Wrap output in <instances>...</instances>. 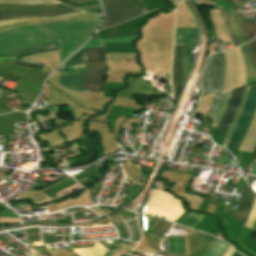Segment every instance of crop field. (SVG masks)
<instances>
[{
    "label": "crop field",
    "instance_id": "41",
    "mask_svg": "<svg viewBox=\"0 0 256 256\" xmlns=\"http://www.w3.org/2000/svg\"><path fill=\"white\" fill-rule=\"evenodd\" d=\"M32 256H42L39 253H32Z\"/></svg>",
    "mask_w": 256,
    "mask_h": 256
},
{
    "label": "crop field",
    "instance_id": "34",
    "mask_svg": "<svg viewBox=\"0 0 256 256\" xmlns=\"http://www.w3.org/2000/svg\"><path fill=\"white\" fill-rule=\"evenodd\" d=\"M17 63L18 64H26V65H30V66H33V67H37V68H44L45 65L37 62V61H33V60H27V59H18L17 60Z\"/></svg>",
    "mask_w": 256,
    "mask_h": 256
},
{
    "label": "crop field",
    "instance_id": "44",
    "mask_svg": "<svg viewBox=\"0 0 256 256\" xmlns=\"http://www.w3.org/2000/svg\"><path fill=\"white\" fill-rule=\"evenodd\" d=\"M1 89V88H0Z\"/></svg>",
    "mask_w": 256,
    "mask_h": 256
},
{
    "label": "crop field",
    "instance_id": "1",
    "mask_svg": "<svg viewBox=\"0 0 256 256\" xmlns=\"http://www.w3.org/2000/svg\"><path fill=\"white\" fill-rule=\"evenodd\" d=\"M99 15L82 14L45 21L0 26V53L58 41L60 63L94 31Z\"/></svg>",
    "mask_w": 256,
    "mask_h": 256
},
{
    "label": "crop field",
    "instance_id": "36",
    "mask_svg": "<svg viewBox=\"0 0 256 256\" xmlns=\"http://www.w3.org/2000/svg\"><path fill=\"white\" fill-rule=\"evenodd\" d=\"M255 160H256V147H255V150H254V152H253V154H252L251 160H250V162L248 163V165H247V167H246V169H245V171H244L245 173L247 172V169H248L250 163H251V162L254 163Z\"/></svg>",
    "mask_w": 256,
    "mask_h": 256
},
{
    "label": "crop field",
    "instance_id": "6",
    "mask_svg": "<svg viewBox=\"0 0 256 256\" xmlns=\"http://www.w3.org/2000/svg\"><path fill=\"white\" fill-rule=\"evenodd\" d=\"M235 50H236L238 62H239V75H238V63H237ZM235 50L233 49L231 51L224 52L225 53V78H224L222 93L231 91L233 88L236 87L237 75H238L237 87L246 85L245 84L246 72H245V67L243 64L240 48L239 47L235 48Z\"/></svg>",
    "mask_w": 256,
    "mask_h": 256
},
{
    "label": "crop field",
    "instance_id": "24",
    "mask_svg": "<svg viewBox=\"0 0 256 256\" xmlns=\"http://www.w3.org/2000/svg\"><path fill=\"white\" fill-rule=\"evenodd\" d=\"M81 13H85V12L80 11V12L73 13V14L60 15V16H52V17L28 18V19H19V20H3V21H0V25L11 24V23H16V22H22V21H29V20H42V19L61 18V17L70 16V15H76V14H81Z\"/></svg>",
    "mask_w": 256,
    "mask_h": 256
},
{
    "label": "crop field",
    "instance_id": "37",
    "mask_svg": "<svg viewBox=\"0 0 256 256\" xmlns=\"http://www.w3.org/2000/svg\"><path fill=\"white\" fill-rule=\"evenodd\" d=\"M61 3H74V2H81V1H87V0H58Z\"/></svg>",
    "mask_w": 256,
    "mask_h": 256
},
{
    "label": "crop field",
    "instance_id": "27",
    "mask_svg": "<svg viewBox=\"0 0 256 256\" xmlns=\"http://www.w3.org/2000/svg\"><path fill=\"white\" fill-rule=\"evenodd\" d=\"M4 64H17L12 52L0 54V65Z\"/></svg>",
    "mask_w": 256,
    "mask_h": 256
},
{
    "label": "crop field",
    "instance_id": "31",
    "mask_svg": "<svg viewBox=\"0 0 256 256\" xmlns=\"http://www.w3.org/2000/svg\"><path fill=\"white\" fill-rule=\"evenodd\" d=\"M230 93H231V92H230ZM230 93H228V94H226V95L224 96V100H223V102H222L221 108H220V110H219V112H218V114H217V116H216V118H215V120H214L212 126H215V127H216V125H217V123H218V121H219V119H220V117H221V115H222V113H223V111H224V108H225V106H226V104H227V102H228V100H229Z\"/></svg>",
    "mask_w": 256,
    "mask_h": 256
},
{
    "label": "crop field",
    "instance_id": "19",
    "mask_svg": "<svg viewBox=\"0 0 256 256\" xmlns=\"http://www.w3.org/2000/svg\"><path fill=\"white\" fill-rule=\"evenodd\" d=\"M190 70H191V45H184L183 79H182L181 87L183 86Z\"/></svg>",
    "mask_w": 256,
    "mask_h": 256
},
{
    "label": "crop field",
    "instance_id": "43",
    "mask_svg": "<svg viewBox=\"0 0 256 256\" xmlns=\"http://www.w3.org/2000/svg\"><path fill=\"white\" fill-rule=\"evenodd\" d=\"M120 256H126V255L121 254Z\"/></svg>",
    "mask_w": 256,
    "mask_h": 256
},
{
    "label": "crop field",
    "instance_id": "11",
    "mask_svg": "<svg viewBox=\"0 0 256 256\" xmlns=\"http://www.w3.org/2000/svg\"><path fill=\"white\" fill-rule=\"evenodd\" d=\"M182 58H183V45H174L173 68H172V83H173V90H174V99L176 98L181 85Z\"/></svg>",
    "mask_w": 256,
    "mask_h": 256
},
{
    "label": "crop field",
    "instance_id": "32",
    "mask_svg": "<svg viewBox=\"0 0 256 256\" xmlns=\"http://www.w3.org/2000/svg\"><path fill=\"white\" fill-rule=\"evenodd\" d=\"M255 219H256V197H255L254 204H253L251 213L249 215V218H248L247 222L245 223V226L251 228Z\"/></svg>",
    "mask_w": 256,
    "mask_h": 256
},
{
    "label": "crop field",
    "instance_id": "12",
    "mask_svg": "<svg viewBox=\"0 0 256 256\" xmlns=\"http://www.w3.org/2000/svg\"><path fill=\"white\" fill-rule=\"evenodd\" d=\"M55 8H68L63 4H48V5H6L0 4V13H16L22 11L47 10Z\"/></svg>",
    "mask_w": 256,
    "mask_h": 256
},
{
    "label": "crop field",
    "instance_id": "17",
    "mask_svg": "<svg viewBox=\"0 0 256 256\" xmlns=\"http://www.w3.org/2000/svg\"><path fill=\"white\" fill-rule=\"evenodd\" d=\"M136 37L137 36L90 40L83 48L103 47L101 43L132 42Z\"/></svg>",
    "mask_w": 256,
    "mask_h": 256
},
{
    "label": "crop field",
    "instance_id": "16",
    "mask_svg": "<svg viewBox=\"0 0 256 256\" xmlns=\"http://www.w3.org/2000/svg\"><path fill=\"white\" fill-rule=\"evenodd\" d=\"M256 141V111L248 127L245 138L239 147L240 150L252 152Z\"/></svg>",
    "mask_w": 256,
    "mask_h": 256
},
{
    "label": "crop field",
    "instance_id": "30",
    "mask_svg": "<svg viewBox=\"0 0 256 256\" xmlns=\"http://www.w3.org/2000/svg\"><path fill=\"white\" fill-rule=\"evenodd\" d=\"M229 16H230L232 27H233V29H234V31L236 33L237 38H238L239 44L240 45L244 44L245 43L244 39H243V37H242V35L240 33V30H239V28L237 26L236 21H235V14L229 13Z\"/></svg>",
    "mask_w": 256,
    "mask_h": 256
},
{
    "label": "crop field",
    "instance_id": "9",
    "mask_svg": "<svg viewBox=\"0 0 256 256\" xmlns=\"http://www.w3.org/2000/svg\"><path fill=\"white\" fill-rule=\"evenodd\" d=\"M254 193L251 191L250 187L247 183H245L243 190L240 194V198L235 210V213L232 218L238 220L240 223L244 225L254 200Z\"/></svg>",
    "mask_w": 256,
    "mask_h": 256
},
{
    "label": "crop field",
    "instance_id": "7",
    "mask_svg": "<svg viewBox=\"0 0 256 256\" xmlns=\"http://www.w3.org/2000/svg\"><path fill=\"white\" fill-rule=\"evenodd\" d=\"M248 88L249 87H247L246 90H245V93H244L243 99L241 101V104L239 106V109L237 111V114H236V116L234 118V121H233V123H232V125H231V127H230V129H229V131L227 133V135H226L225 142H224V145H223V147H225V148H226V145H227L228 134H229V132H230V130H231V128H232V126H233V124H234V122H235V120H236V118H237V116H238V114H239V112H240V110H241L245 100H246ZM255 89H256V85L253 86V87H250L247 100H246V102H245V104H244V106H243V108H242V110H241V112H240V114H239V116H238V118H237V120H236V122H235V124H234V126H233V128L231 130V132H230V134H229V140H228V145H227L226 149H228L230 152H232V149H233V146H234V142H235V140H236V138H237V136H238V134H239V132H240L244 122H245L247 113H248V111L250 109V106H251V104L253 102V98H254V94H255Z\"/></svg>",
    "mask_w": 256,
    "mask_h": 256
},
{
    "label": "crop field",
    "instance_id": "39",
    "mask_svg": "<svg viewBox=\"0 0 256 256\" xmlns=\"http://www.w3.org/2000/svg\"><path fill=\"white\" fill-rule=\"evenodd\" d=\"M253 180H254V177H249L247 181L249 182L250 185H252Z\"/></svg>",
    "mask_w": 256,
    "mask_h": 256
},
{
    "label": "crop field",
    "instance_id": "2",
    "mask_svg": "<svg viewBox=\"0 0 256 256\" xmlns=\"http://www.w3.org/2000/svg\"><path fill=\"white\" fill-rule=\"evenodd\" d=\"M87 77H86V52L80 50L70 58L61 71L60 83L83 91L85 77L86 92L103 91L104 77L106 72V58L104 48L87 49Z\"/></svg>",
    "mask_w": 256,
    "mask_h": 256
},
{
    "label": "crop field",
    "instance_id": "13",
    "mask_svg": "<svg viewBox=\"0 0 256 256\" xmlns=\"http://www.w3.org/2000/svg\"><path fill=\"white\" fill-rule=\"evenodd\" d=\"M77 11H79V10L69 8V9H61V10L30 12V13L3 14V15H0V20H2V19H14V18H27V17L60 15V14L73 13V12H77Z\"/></svg>",
    "mask_w": 256,
    "mask_h": 256
},
{
    "label": "crop field",
    "instance_id": "35",
    "mask_svg": "<svg viewBox=\"0 0 256 256\" xmlns=\"http://www.w3.org/2000/svg\"><path fill=\"white\" fill-rule=\"evenodd\" d=\"M18 77H21V76L2 73L1 80H4V79H17Z\"/></svg>",
    "mask_w": 256,
    "mask_h": 256
},
{
    "label": "crop field",
    "instance_id": "26",
    "mask_svg": "<svg viewBox=\"0 0 256 256\" xmlns=\"http://www.w3.org/2000/svg\"><path fill=\"white\" fill-rule=\"evenodd\" d=\"M223 17H224V21H225V24H226L227 31H228V33H229V35H230V37L233 41L234 46L236 47L239 44H238L237 38L235 36V33H234V31L231 27L230 20H229V17H228V13L223 11Z\"/></svg>",
    "mask_w": 256,
    "mask_h": 256
},
{
    "label": "crop field",
    "instance_id": "25",
    "mask_svg": "<svg viewBox=\"0 0 256 256\" xmlns=\"http://www.w3.org/2000/svg\"><path fill=\"white\" fill-rule=\"evenodd\" d=\"M256 75V39L246 44Z\"/></svg>",
    "mask_w": 256,
    "mask_h": 256
},
{
    "label": "crop field",
    "instance_id": "38",
    "mask_svg": "<svg viewBox=\"0 0 256 256\" xmlns=\"http://www.w3.org/2000/svg\"><path fill=\"white\" fill-rule=\"evenodd\" d=\"M234 251L235 250L230 246V248L227 250L224 256H231L234 253Z\"/></svg>",
    "mask_w": 256,
    "mask_h": 256
},
{
    "label": "crop field",
    "instance_id": "10",
    "mask_svg": "<svg viewBox=\"0 0 256 256\" xmlns=\"http://www.w3.org/2000/svg\"><path fill=\"white\" fill-rule=\"evenodd\" d=\"M214 240L215 238L207 235L190 256H202ZM228 247L229 245L216 239L203 256H223Z\"/></svg>",
    "mask_w": 256,
    "mask_h": 256
},
{
    "label": "crop field",
    "instance_id": "18",
    "mask_svg": "<svg viewBox=\"0 0 256 256\" xmlns=\"http://www.w3.org/2000/svg\"><path fill=\"white\" fill-rule=\"evenodd\" d=\"M247 72V85L256 83L253 67L251 65L245 44L240 46Z\"/></svg>",
    "mask_w": 256,
    "mask_h": 256
},
{
    "label": "crop field",
    "instance_id": "4",
    "mask_svg": "<svg viewBox=\"0 0 256 256\" xmlns=\"http://www.w3.org/2000/svg\"><path fill=\"white\" fill-rule=\"evenodd\" d=\"M184 211L180 201L167 192L156 190L145 213L175 221Z\"/></svg>",
    "mask_w": 256,
    "mask_h": 256
},
{
    "label": "crop field",
    "instance_id": "23",
    "mask_svg": "<svg viewBox=\"0 0 256 256\" xmlns=\"http://www.w3.org/2000/svg\"><path fill=\"white\" fill-rule=\"evenodd\" d=\"M0 3L6 4H47L59 3L55 0H0Z\"/></svg>",
    "mask_w": 256,
    "mask_h": 256
},
{
    "label": "crop field",
    "instance_id": "3",
    "mask_svg": "<svg viewBox=\"0 0 256 256\" xmlns=\"http://www.w3.org/2000/svg\"><path fill=\"white\" fill-rule=\"evenodd\" d=\"M101 1L105 9L101 28L123 23L147 12L143 0Z\"/></svg>",
    "mask_w": 256,
    "mask_h": 256
},
{
    "label": "crop field",
    "instance_id": "22",
    "mask_svg": "<svg viewBox=\"0 0 256 256\" xmlns=\"http://www.w3.org/2000/svg\"><path fill=\"white\" fill-rule=\"evenodd\" d=\"M223 96H224V94H215L214 95V98H213L210 110L207 114V117L214 119V117L220 107V104L222 102Z\"/></svg>",
    "mask_w": 256,
    "mask_h": 256
},
{
    "label": "crop field",
    "instance_id": "40",
    "mask_svg": "<svg viewBox=\"0 0 256 256\" xmlns=\"http://www.w3.org/2000/svg\"><path fill=\"white\" fill-rule=\"evenodd\" d=\"M251 173L256 174V162H255V165H254V167H253Z\"/></svg>",
    "mask_w": 256,
    "mask_h": 256
},
{
    "label": "crop field",
    "instance_id": "8",
    "mask_svg": "<svg viewBox=\"0 0 256 256\" xmlns=\"http://www.w3.org/2000/svg\"><path fill=\"white\" fill-rule=\"evenodd\" d=\"M245 88H239L231 93L230 100L217 126V129L227 131L240 104Z\"/></svg>",
    "mask_w": 256,
    "mask_h": 256
},
{
    "label": "crop field",
    "instance_id": "29",
    "mask_svg": "<svg viewBox=\"0 0 256 256\" xmlns=\"http://www.w3.org/2000/svg\"><path fill=\"white\" fill-rule=\"evenodd\" d=\"M141 187L142 186L135 185L132 183V185L130 186L128 192L126 193L124 199L131 201L133 198L136 197V195L139 192V190L141 189Z\"/></svg>",
    "mask_w": 256,
    "mask_h": 256
},
{
    "label": "crop field",
    "instance_id": "15",
    "mask_svg": "<svg viewBox=\"0 0 256 256\" xmlns=\"http://www.w3.org/2000/svg\"><path fill=\"white\" fill-rule=\"evenodd\" d=\"M58 49L57 42L54 43H48V44H43V45H38V46H32V47H27L23 48L18 51H14L16 59L25 57V56H30L50 50H56Z\"/></svg>",
    "mask_w": 256,
    "mask_h": 256
},
{
    "label": "crop field",
    "instance_id": "33",
    "mask_svg": "<svg viewBox=\"0 0 256 256\" xmlns=\"http://www.w3.org/2000/svg\"><path fill=\"white\" fill-rule=\"evenodd\" d=\"M236 21L238 23V26H239L241 32H242V35H243V37L245 39V42L250 41V39L248 37V34H247L246 30H245V27H244V25L242 23L241 14H236Z\"/></svg>",
    "mask_w": 256,
    "mask_h": 256
},
{
    "label": "crop field",
    "instance_id": "14",
    "mask_svg": "<svg viewBox=\"0 0 256 256\" xmlns=\"http://www.w3.org/2000/svg\"><path fill=\"white\" fill-rule=\"evenodd\" d=\"M174 44H199L198 30L176 28Z\"/></svg>",
    "mask_w": 256,
    "mask_h": 256
},
{
    "label": "crop field",
    "instance_id": "28",
    "mask_svg": "<svg viewBox=\"0 0 256 256\" xmlns=\"http://www.w3.org/2000/svg\"><path fill=\"white\" fill-rule=\"evenodd\" d=\"M246 30L249 34L250 39H254L256 36V20L244 22Z\"/></svg>",
    "mask_w": 256,
    "mask_h": 256
},
{
    "label": "crop field",
    "instance_id": "5",
    "mask_svg": "<svg viewBox=\"0 0 256 256\" xmlns=\"http://www.w3.org/2000/svg\"><path fill=\"white\" fill-rule=\"evenodd\" d=\"M224 77V54L219 53L207 59L206 70L202 77L203 95L221 93Z\"/></svg>",
    "mask_w": 256,
    "mask_h": 256
},
{
    "label": "crop field",
    "instance_id": "20",
    "mask_svg": "<svg viewBox=\"0 0 256 256\" xmlns=\"http://www.w3.org/2000/svg\"><path fill=\"white\" fill-rule=\"evenodd\" d=\"M255 108H256V95H255V99H254V102L252 104V107L250 109L249 115L247 117V120L245 122V125H244V127H243V129H242V131H241V133H240V135H239V137H238V139H237V141L235 143V147H234V151H233L234 156H236V151H237L238 147L240 146V144H241V142L243 140V137L245 135L247 127H248V125H249V123H250V121L252 119V116H253Z\"/></svg>",
    "mask_w": 256,
    "mask_h": 256
},
{
    "label": "crop field",
    "instance_id": "42",
    "mask_svg": "<svg viewBox=\"0 0 256 256\" xmlns=\"http://www.w3.org/2000/svg\"><path fill=\"white\" fill-rule=\"evenodd\" d=\"M0 72H4V71H0ZM6 73H11V72H6ZM13 74H17V73H13ZM23 75V74H22ZM28 76V75H27ZM34 77V76H31ZM35 78H39V77H35ZM40 79V78H39Z\"/></svg>",
    "mask_w": 256,
    "mask_h": 256
},
{
    "label": "crop field",
    "instance_id": "21",
    "mask_svg": "<svg viewBox=\"0 0 256 256\" xmlns=\"http://www.w3.org/2000/svg\"><path fill=\"white\" fill-rule=\"evenodd\" d=\"M205 214H198V213H189L185 218H183L179 224L186 225L189 227L194 228L204 217Z\"/></svg>",
    "mask_w": 256,
    "mask_h": 256
}]
</instances>
